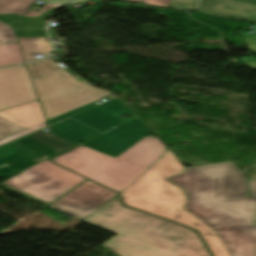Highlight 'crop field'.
Masks as SVG:
<instances>
[{"label": "crop field", "instance_id": "obj_1", "mask_svg": "<svg viewBox=\"0 0 256 256\" xmlns=\"http://www.w3.org/2000/svg\"><path fill=\"white\" fill-rule=\"evenodd\" d=\"M186 169L167 179L185 190L184 209L215 230L232 256H254L256 198L246 197L243 173L233 162Z\"/></svg>", "mask_w": 256, "mask_h": 256}, {"label": "crop field", "instance_id": "obj_2", "mask_svg": "<svg viewBox=\"0 0 256 256\" xmlns=\"http://www.w3.org/2000/svg\"><path fill=\"white\" fill-rule=\"evenodd\" d=\"M84 222L118 234L103 245L120 256H210L193 230L127 209L118 198Z\"/></svg>", "mask_w": 256, "mask_h": 256}, {"label": "crop field", "instance_id": "obj_3", "mask_svg": "<svg viewBox=\"0 0 256 256\" xmlns=\"http://www.w3.org/2000/svg\"><path fill=\"white\" fill-rule=\"evenodd\" d=\"M175 157L170 150H165L134 184L121 193L125 204L196 229L214 256H231L215 231L183 209L187 202L183 190L164 180L186 172Z\"/></svg>", "mask_w": 256, "mask_h": 256}, {"label": "crop field", "instance_id": "obj_4", "mask_svg": "<svg viewBox=\"0 0 256 256\" xmlns=\"http://www.w3.org/2000/svg\"><path fill=\"white\" fill-rule=\"evenodd\" d=\"M165 149L159 140L145 137L117 158L79 145L52 161L120 192Z\"/></svg>", "mask_w": 256, "mask_h": 256}, {"label": "crop field", "instance_id": "obj_5", "mask_svg": "<svg viewBox=\"0 0 256 256\" xmlns=\"http://www.w3.org/2000/svg\"><path fill=\"white\" fill-rule=\"evenodd\" d=\"M47 120L76 109L110 93L85 86L55 62L45 58L28 64Z\"/></svg>", "mask_w": 256, "mask_h": 256}, {"label": "crop field", "instance_id": "obj_6", "mask_svg": "<svg viewBox=\"0 0 256 256\" xmlns=\"http://www.w3.org/2000/svg\"><path fill=\"white\" fill-rule=\"evenodd\" d=\"M84 179L73 172L45 161L0 186L47 205Z\"/></svg>", "mask_w": 256, "mask_h": 256}, {"label": "crop field", "instance_id": "obj_7", "mask_svg": "<svg viewBox=\"0 0 256 256\" xmlns=\"http://www.w3.org/2000/svg\"><path fill=\"white\" fill-rule=\"evenodd\" d=\"M119 114L135 116L120 100L115 99L54 124L51 128L53 134L77 144L123 123Z\"/></svg>", "mask_w": 256, "mask_h": 256}, {"label": "crop field", "instance_id": "obj_8", "mask_svg": "<svg viewBox=\"0 0 256 256\" xmlns=\"http://www.w3.org/2000/svg\"><path fill=\"white\" fill-rule=\"evenodd\" d=\"M116 194L88 180L50 207L82 220Z\"/></svg>", "mask_w": 256, "mask_h": 256}, {"label": "crop field", "instance_id": "obj_9", "mask_svg": "<svg viewBox=\"0 0 256 256\" xmlns=\"http://www.w3.org/2000/svg\"><path fill=\"white\" fill-rule=\"evenodd\" d=\"M150 132L148 127L138 117H135L108 132L84 142L82 145L117 157Z\"/></svg>", "mask_w": 256, "mask_h": 256}, {"label": "crop field", "instance_id": "obj_10", "mask_svg": "<svg viewBox=\"0 0 256 256\" xmlns=\"http://www.w3.org/2000/svg\"><path fill=\"white\" fill-rule=\"evenodd\" d=\"M36 99L26 65L0 69V110Z\"/></svg>", "mask_w": 256, "mask_h": 256}, {"label": "crop field", "instance_id": "obj_11", "mask_svg": "<svg viewBox=\"0 0 256 256\" xmlns=\"http://www.w3.org/2000/svg\"><path fill=\"white\" fill-rule=\"evenodd\" d=\"M200 14L256 22L255 0H202Z\"/></svg>", "mask_w": 256, "mask_h": 256}, {"label": "crop field", "instance_id": "obj_12", "mask_svg": "<svg viewBox=\"0 0 256 256\" xmlns=\"http://www.w3.org/2000/svg\"><path fill=\"white\" fill-rule=\"evenodd\" d=\"M0 117L26 129L45 121L38 102L1 111Z\"/></svg>", "mask_w": 256, "mask_h": 256}, {"label": "crop field", "instance_id": "obj_13", "mask_svg": "<svg viewBox=\"0 0 256 256\" xmlns=\"http://www.w3.org/2000/svg\"><path fill=\"white\" fill-rule=\"evenodd\" d=\"M34 0H0V14L25 15Z\"/></svg>", "mask_w": 256, "mask_h": 256}, {"label": "crop field", "instance_id": "obj_14", "mask_svg": "<svg viewBox=\"0 0 256 256\" xmlns=\"http://www.w3.org/2000/svg\"><path fill=\"white\" fill-rule=\"evenodd\" d=\"M22 55L17 44L0 45V66L22 63Z\"/></svg>", "mask_w": 256, "mask_h": 256}, {"label": "crop field", "instance_id": "obj_15", "mask_svg": "<svg viewBox=\"0 0 256 256\" xmlns=\"http://www.w3.org/2000/svg\"><path fill=\"white\" fill-rule=\"evenodd\" d=\"M24 54L27 61L34 60L35 54L48 55L47 51H50V45L48 42H33V43H21Z\"/></svg>", "mask_w": 256, "mask_h": 256}, {"label": "crop field", "instance_id": "obj_16", "mask_svg": "<svg viewBox=\"0 0 256 256\" xmlns=\"http://www.w3.org/2000/svg\"><path fill=\"white\" fill-rule=\"evenodd\" d=\"M25 129L0 118V139Z\"/></svg>", "mask_w": 256, "mask_h": 256}, {"label": "crop field", "instance_id": "obj_17", "mask_svg": "<svg viewBox=\"0 0 256 256\" xmlns=\"http://www.w3.org/2000/svg\"><path fill=\"white\" fill-rule=\"evenodd\" d=\"M17 43L12 28L0 22V44Z\"/></svg>", "mask_w": 256, "mask_h": 256}, {"label": "crop field", "instance_id": "obj_18", "mask_svg": "<svg viewBox=\"0 0 256 256\" xmlns=\"http://www.w3.org/2000/svg\"><path fill=\"white\" fill-rule=\"evenodd\" d=\"M198 0H171V8L180 10H193Z\"/></svg>", "mask_w": 256, "mask_h": 256}, {"label": "crop field", "instance_id": "obj_19", "mask_svg": "<svg viewBox=\"0 0 256 256\" xmlns=\"http://www.w3.org/2000/svg\"><path fill=\"white\" fill-rule=\"evenodd\" d=\"M45 126H46V124H45V122H44V123H42V124H40V125H38V126H36V127H33V128H31V129H29V130H25V131H23V132L17 133V134H15V135L10 136V137L4 138V139H2V140L0 141V145L3 144V143L8 142V141H10V140H13V139H15V138H18V137H20V136H23V135H25V134H28V133H30V132H33V131H35V130H38V129H40V128H43V127H45Z\"/></svg>", "mask_w": 256, "mask_h": 256}, {"label": "crop field", "instance_id": "obj_20", "mask_svg": "<svg viewBox=\"0 0 256 256\" xmlns=\"http://www.w3.org/2000/svg\"><path fill=\"white\" fill-rule=\"evenodd\" d=\"M92 106H94V105H93L92 103H90V104L85 105V106H83V107H80V108H78V109H76V110H73V111L68 112V113H66V114H63V115H61V116H58V117H56V118H54V119L49 120V124L51 125V124H53V123H55V122H57V121H59V120H62V119H64V118H66V117H68V116H71V115H73V114H75V113H77V112H80V111H82V110L88 109V108H90V107H92Z\"/></svg>", "mask_w": 256, "mask_h": 256}, {"label": "crop field", "instance_id": "obj_21", "mask_svg": "<svg viewBox=\"0 0 256 256\" xmlns=\"http://www.w3.org/2000/svg\"><path fill=\"white\" fill-rule=\"evenodd\" d=\"M252 51L256 52V34L242 36Z\"/></svg>", "mask_w": 256, "mask_h": 256}, {"label": "crop field", "instance_id": "obj_22", "mask_svg": "<svg viewBox=\"0 0 256 256\" xmlns=\"http://www.w3.org/2000/svg\"><path fill=\"white\" fill-rule=\"evenodd\" d=\"M170 0H144L143 3L168 8Z\"/></svg>", "mask_w": 256, "mask_h": 256}, {"label": "crop field", "instance_id": "obj_23", "mask_svg": "<svg viewBox=\"0 0 256 256\" xmlns=\"http://www.w3.org/2000/svg\"><path fill=\"white\" fill-rule=\"evenodd\" d=\"M57 6H60V5H44V7L41 9L40 12H37V11H29L25 16H37L51 8H54V7H57Z\"/></svg>", "mask_w": 256, "mask_h": 256}, {"label": "crop field", "instance_id": "obj_24", "mask_svg": "<svg viewBox=\"0 0 256 256\" xmlns=\"http://www.w3.org/2000/svg\"><path fill=\"white\" fill-rule=\"evenodd\" d=\"M84 0H47L46 3L66 4L67 2L77 3Z\"/></svg>", "mask_w": 256, "mask_h": 256}, {"label": "crop field", "instance_id": "obj_25", "mask_svg": "<svg viewBox=\"0 0 256 256\" xmlns=\"http://www.w3.org/2000/svg\"><path fill=\"white\" fill-rule=\"evenodd\" d=\"M20 42L45 41V38H18Z\"/></svg>", "mask_w": 256, "mask_h": 256}, {"label": "crop field", "instance_id": "obj_26", "mask_svg": "<svg viewBox=\"0 0 256 256\" xmlns=\"http://www.w3.org/2000/svg\"><path fill=\"white\" fill-rule=\"evenodd\" d=\"M252 195H256V180H250Z\"/></svg>", "mask_w": 256, "mask_h": 256}, {"label": "crop field", "instance_id": "obj_27", "mask_svg": "<svg viewBox=\"0 0 256 256\" xmlns=\"http://www.w3.org/2000/svg\"><path fill=\"white\" fill-rule=\"evenodd\" d=\"M245 65H247L249 68L251 69H256V62H252V63H245Z\"/></svg>", "mask_w": 256, "mask_h": 256}, {"label": "crop field", "instance_id": "obj_28", "mask_svg": "<svg viewBox=\"0 0 256 256\" xmlns=\"http://www.w3.org/2000/svg\"><path fill=\"white\" fill-rule=\"evenodd\" d=\"M104 1H129V2H139L140 0H104Z\"/></svg>", "mask_w": 256, "mask_h": 256}, {"label": "crop field", "instance_id": "obj_29", "mask_svg": "<svg viewBox=\"0 0 256 256\" xmlns=\"http://www.w3.org/2000/svg\"><path fill=\"white\" fill-rule=\"evenodd\" d=\"M254 27H256V25H254Z\"/></svg>", "mask_w": 256, "mask_h": 256}]
</instances>
